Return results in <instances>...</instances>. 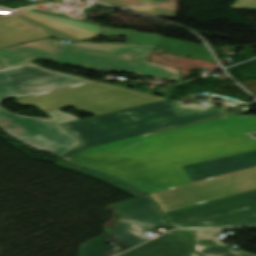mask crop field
<instances>
[{
	"instance_id": "obj_1",
	"label": "crop field",
	"mask_w": 256,
	"mask_h": 256,
	"mask_svg": "<svg viewBox=\"0 0 256 256\" xmlns=\"http://www.w3.org/2000/svg\"><path fill=\"white\" fill-rule=\"evenodd\" d=\"M167 99L61 124L82 141L62 159L112 174L168 212L256 189V166L193 183L181 166L256 150V116Z\"/></svg>"
},
{
	"instance_id": "obj_2",
	"label": "crop field",
	"mask_w": 256,
	"mask_h": 256,
	"mask_svg": "<svg viewBox=\"0 0 256 256\" xmlns=\"http://www.w3.org/2000/svg\"><path fill=\"white\" fill-rule=\"evenodd\" d=\"M154 48L165 53L213 61L205 46L163 37L157 46L75 42L61 44L47 38L0 50V103L26 96L18 105H35L52 118L41 119L8 112L0 107V128L20 142L59 158L81 143L60 124L78 118L59 111L69 106L96 115L167 98L142 94L121 86L53 72L29 60L112 70L181 82L180 72L146 62ZM106 99V101H102Z\"/></svg>"
},
{
	"instance_id": "obj_3",
	"label": "crop field",
	"mask_w": 256,
	"mask_h": 256,
	"mask_svg": "<svg viewBox=\"0 0 256 256\" xmlns=\"http://www.w3.org/2000/svg\"><path fill=\"white\" fill-rule=\"evenodd\" d=\"M122 213L115 228L81 245L80 256H114L120 252L104 245L115 242L124 249H129L149 238L141 234L166 222L160 216L153 203L145 196L110 204Z\"/></svg>"
},
{
	"instance_id": "obj_4",
	"label": "crop field",
	"mask_w": 256,
	"mask_h": 256,
	"mask_svg": "<svg viewBox=\"0 0 256 256\" xmlns=\"http://www.w3.org/2000/svg\"><path fill=\"white\" fill-rule=\"evenodd\" d=\"M180 229L256 227V190L164 213Z\"/></svg>"
},
{
	"instance_id": "obj_5",
	"label": "crop field",
	"mask_w": 256,
	"mask_h": 256,
	"mask_svg": "<svg viewBox=\"0 0 256 256\" xmlns=\"http://www.w3.org/2000/svg\"><path fill=\"white\" fill-rule=\"evenodd\" d=\"M102 25L80 20L43 30H0V49L46 37L83 40L99 34ZM0 68L3 66L0 64Z\"/></svg>"
},
{
	"instance_id": "obj_6",
	"label": "crop field",
	"mask_w": 256,
	"mask_h": 256,
	"mask_svg": "<svg viewBox=\"0 0 256 256\" xmlns=\"http://www.w3.org/2000/svg\"><path fill=\"white\" fill-rule=\"evenodd\" d=\"M253 135L256 136V133ZM256 165V151L184 166V170L195 181L233 172Z\"/></svg>"
},
{
	"instance_id": "obj_7",
	"label": "crop field",
	"mask_w": 256,
	"mask_h": 256,
	"mask_svg": "<svg viewBox=\"0 0 256 256\" xmlns=\"http://www.w3.org/2000/svg\"><path fill=\"white\" fill-rule=\"evenodd\" d=\"M75 20L40 9H21L13 15L0 14V29H43Z\"/></svg>"
},
{
	"instance_id": "obj_8",
	"label": "crop field",
	"mask_w": 256,
	"mask_h": 256,
	"mask_svg": "<svg viewBox=\"0 0 256 256\" xmlns=\"http://www.w3.org/2000/svg\"><path fill=\"white\" fill-rule=\"evenodd\" d=\"M191 248L173 231L119 256H190Z\"/></svg>"
},
{
	"instance_id": "obj_9",
	"label": "crop field",
	"mask_w": 256,
	"mask_h": 256,
	"mask_svg": "<svg viewBox=\"0 0 256 256\" xmlns=\"http://www.w3.org/2000/svg\"><path fill=\"white\" fill-rule=\"evenodd\" d=\"M222 230L195 231L194 248L203 256H253L241 251L234 252L218 241Z\"/></svg>"
},
{
	"instance_id": "obj_10",
	"label": "crop field",
	"mask_w": 256,
	"mask_h": 256,
	"mask_svg": "<svg viewBox=\"0 0 256 256\" xmlns=\"http://www.w3.org/2000/svg\"><path fill=\"white\" fill-rule=\"evenodd\" d=\"M54 166H58V167H61V168H65V169H68V170H71V171H75V172H78V173H82V174H85V175H88V176H91V177H94L98 180H101L105 183H108L122 191H124L125 193L133 196V197H136V196H140L142 194H145L139 190H136L110 176H107V175H103V174H100V173H97V172H94V171H91V170H88V169H85V168H82V167H78V166H75V165H71V164H68V163H65L63 161H60L58 160L57 162H55L54 164H52Z\"/></svg>"
},
{
	"instance_id": "obj_11",
	"label": "crop field",
	"mask_w": 256,
	"mask_h": 256,
	"mask_svg": "<svg viewBox=\"0 0 256 256\" xmlns=\"http://www.w3.org/2000/svg\"><path fill=\"white\" fill-rule=\"evenodd\" d=\"M129 9L139 11L150 16H157V17L174 18L176 14L174 11L160 9L156 6H143V7H137V8H129Z\"/></svg>"
},
{
	"instance_id": "obj_12",
	"label": "crop field",
	"mask_w": 256,
	"mask_h": 256,
	"mask_svg": "<svg viewBox=\"0 0 256 256\" xmlns=\"http://www.w3.org/2000/svg\"><path fill=\"white\" fill-rule=\"evenodd\" d=\"M105 3L121 6V7H129V6H138L143 4H148L161 0H99Z\"/></svg>"
},
{
	"instance_id": "obj_13",
	"label": "crop field",
	"mask_w": 256,
	"mask_h": 256,
	"mask_svg": "<svg viewBox=\"0 0 256 256\" xmlns=\"http://www.w3.org/2000/svg\"><path fill=\"white\" fill-rule=\"evenodd\" d=\"M230 8L256 10V0H237Z\"/></svg>"
},
{
	"instance_id": "obj_14",
	"label": "crop field",
	"mask_w": 256,
	"mask_h": 256,
	"mask_svg": "<svg viewBox=\"0 0 256 256\" xmlns=\"http://www.w3.org/2000/svg\"><path fill=\"white\" fill-rule=\"evenodd\" d=\"M179 235H181L185 240H187L191 245H193V236L194 232L190 231H176Z\"/></svg>"
},
{
	"instance_id": "obj_15",
	"label": "crop field",
	"mask_w": 256,
	"mask_h": 256,
	"mask_svg": "<svg viewBox=\"0 0 256 256\" xmlns=\"http://www.w3.org/2000/svg\"><path fill=\"white\" fill-rule=\"evenodd\" d=\"M192 256H198L195 252H192Z\"/></svg>"
}]
</instances>
